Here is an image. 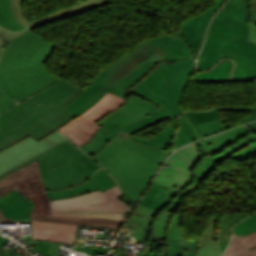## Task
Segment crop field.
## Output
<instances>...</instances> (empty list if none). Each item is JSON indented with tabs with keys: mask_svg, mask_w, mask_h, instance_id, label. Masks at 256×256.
Masks as SVG:
<instances>
[{
	"mask_svg": "<svg viewBox=\"0 0 256 256\" xmlns=\"http://www.w3.org/2000/svg\"><path fill=\"white\" fill-rule=\"evenodd\" d=\"M193 58L181 32L142 40L131 52L99 72L91 84L64 108L77 117L109 91L124 99L136 82L161 60L171 62Z\"/></svg>",
	"mask_w": 256,
	"mask_h": 256,
	"instance_id": "obj_1",
	"label": "crop field"
},
{
	"mask_svg": "<svg viewBox=\"0 0 256 256\" xmlns=\"http://www.w3.org/2000/svg\"><path fill=\"white\" fill-rule=\"evenodd\" d=\"M56 47L32 30L9 43L0 62V114L59 79L45 65Z\"/></svg>",
	"mask_w": 256,
	"mask_h": 256,
	"instance_id": "obj_2",
	"label": "crop field"
},
{
	"mask_svg": "<svg viewBox=\"0 0 256 256\" xmlns=\"http://www.w3.org/2000/svg\"><path fill=\"white\" fill-rule=\"evenodd\" d=\"M82 90L61 79L1 114L0 131L14 143L29 135L40 140L76 117L63 107Z\"/></svg>",
	"mask_w": 256,
	"mask_h": 256,
	"instance_id": "obj_3",
	"label": "crop field"
},
{
	"mask_svg": "<svg viewBox=\"0 0 256 256\" xmlns=\"http://www.w3.org/2000/svg\"><path fill=\"white\" fill-rule=\"evenodd\" d=\"M170 152L171 148L163 151L117 136L113 143L108 142L91 157L103 165L118 182L123 193L137 203Z\"/></svg>",
	"mask_w": 256,
	"mask_h": 256,
	"instance_id": "obj_4",
	"label": "crop field"
},
{
	"mask_svg": "<svg viewBox=\"0 0 256 256\" xmlns=\"http://www.w3.org/2000/svg\"><path fill=\"white\" fill-rule=\"evenodd\" d=\"M194 64V59L162 61L130 88L129 91L160 107L143 120L124 127L123 131L133 134L166 118L172 121L178 117L184 111L179 103Z\"/></svg>",
	"mask_w": 256,
	"mask_h": 256,
	"instance_id": "obj_5",
	"label": "crop field"
},
{
	"mask_svg": "<svg viewBox=\"0 0 256 256\" xmlns=\"http://www.w3.org/2000/svg\"><path fill=\"white\" fill-rule=\"evenodd\" d=\"M249 9V0H229L224 5L210 25L198 69H211L230 52L252 59L256 69V44L249 41Z\"/></svg>",
	"mask_w": 256,
	"mask_h": 256,
	"instance_id": "obj_6",
	"label": "crop field"
},
{
	"mask_svg": "<svg viewBox=\"0 0 256 256\" xmlns=\"http://www.w3.org/2000/svg\"><path fill=\"white\" fill-rule=\"evenodd\" d=\"M16 189L34 202L31 220L119 230L122 222L95 217L53 216L37 160L0 179V197Z\"/></svg>",
	"mask_w": 256,
	"mask_h": 256,
	"instance_id": "obj_7",
	"label": "crop field"
},
{
	"mask_svg": "<svg viewBox=\"0 0 256 256\" xmlns=\"http://www.w3.org/2000/svg\"><path fill=\"white\" fill-rule=\"evenodd\" d=\"M118 186L105 192L95 191L75 198L50 201L54 215L96 216L123 221L132 207L120 200Z\"/></svg>",
	"mask_w": 256,
	"mask_h": 256,
	"instance_id": "obj_8",
	"label": "crop field"
},
{
	"mask_svg": "<svg viewBox=\"0 0 256 256\" xmlns=\"http://www.w3.org/2000/svg\"><path fill=\"white\" fill-rule=\"evenodd\" d=\"M158 107L132 93L127 102L97 122L102 127L81 149L90 156L97 153L108 141L113 142L124 126L148 116Z\"/></svg>",
	"mask_w": 256,
	"mask_h": 256,
	"instance_id": "obj_9",
	"label": "crop field"
},
{
	"mask_svg": "<svg viewBox=\"0 0 256 256\" xmlns=\"http://www.w3.org/2000/svg\"><path fill=\"white\" fill-rule=\"evenodd\" d=\"M203 159L196 143L178 150L167 161L170 168L163 166L154 183L181 192L194 183L193 169Z\"/></svg>",
	"mask_w": 256,
	"mask_h": 256,
	"instance_id": "obj_10",
	"label": "crop field"
},
{
	"mask_svg": "<svg viewBox=\"0 0 256 256\" xmlns=\"http://www.w3.org/2000/svg\"><path fill=\"white\" fill-rule=\"evenodd\" d=\"M125 101L126 100L107 92L93 107L74 121L59 129V131L80 147L88 143L99 130L100 126L95 123Z\"/></svg>",
	"mask_w": 256,
	"mask_h": 256,
	"instance_id": "obj_11",
	"label": "crop field"
},
{
	"mask_svg": "<svg viewBox=\"0 0 256 256\" xmlns=\"http://www.w3.org/2000/svg\"><path fill=\"white\" fill-rule=\"evenodd\" d=\"M69 155L73 160L42 173L46 189L78 182L100 167L79 149Z\"/></svg>",
	"mask_w": 256,
	"mask_h": 256,
	"instance_id": "obj_12",
	"label": "crop field"
},
{
	"mask_svg": "<svg viewBox=\"0 0 256 256\" xmlns=\"http://www.w3.org/2000/svg\"><path fill=\"white\" fill-rule=\"evenodd\" d=\"M66 139L56 131L40 141L30 136L0 151V174L20 165Z\"/></svg>",
	"mask_w": 256,
	"mask_h": 256,
	"instance_id": "obj_13",
	"label": "crop field"
},
{
	"mask_svg": "<svg viewBox=\"0 0 256 256\" xmlns=\"http://www.w3.org/2000/svg\"><path fill=\"white\" fill-rule=\"evenodd\" d=\"M110 0H85L78 5L71 7L69 9H63L56 11L55 13L46 16L45 18H40L34 21L28 22L24 17L22 13V7H21V0H11V8L17 18V20L25 27L21 30H18L17 32L8 30L2 26H0V36L6 41L9 42L11 39L13 40L17 36L21 35L22 33L34 29L35 27H38L39 25H44L46 23H50L54 20H60L66 17H69L71 15H77L78 13L87 12L94 8H98L100 6H103L107 3H110ZM87 8V10H85ZM52 19V20H50Z\"/></svg>",
	"mask_w": 256,
	"mask_h": 256,
	"instance_id": "obj_14",
	"label": "crop field"
},
{
	"mask_svg": "<svg viewBox=\"0 0 256 256\" xmlns=\"http://www.w3.org/2000/svg\"><path fill=\"white\" fill-rule=\"evenodd\" d=\"M13 144L0 132V150ZM34 203L22 196L15 189L0 198V222H20L19 219H29Z\"/></svg>",
	"mask_w": 256,
	"mask_h": 256,
	"instance_id": "obj_15",
	"label": "crop field"
},
{
	"mask_svg": "<svg viewBox=\"0 0 256 256\" xmlns=\"http://www.w3.org/2000/svg\"><path fill=\"white\" fill-rule=\"evenodd\" d=\"M225 1L226 0H216L215 4L204 13L181 24L182 33L187 43L189 44L195 59L197 57L198 50L200 48L210 19L214 13L225 3Z\"/></svg>",
	"mask_w": 256,
	"mask_h": 256,
	"instance_id": "obj_16",
	"label": "crop field"
},
{
	"mask_svg": "<svg viewBox=\"0 0 256 256\" xmlns=\"http://www.w3.org/2000/svg\"><path fill=\"white\" fill-rule=\"evenodd\" d=\"M229 127L228 123H223L221 119L207 124L192 127L185 115L179 117V126L175 138L174 150L192 140L206 137L214 132ZM193 142V141H192Z\"/></svg>",
	"mask_w": 256,
	"mask_h": 256,
	"instance_id": "obj_17",
	"label": "crop field"
},
{
	"mask_svg": "<svg viewBox=\"0 0 256 256\" xmlns=\"http://www.w3.org/2000/svg\"><path fill=\"white\" fill-rule=\"evenodd\" d=\"M77 226L31 221L32 237L61 243H73Z\"/></svg>",
	"mask_w": 256,
	"mask_h": 256,
	"instance_id": "obj_18",
	"label": "crop field"
},
{
	"mask_svg": "<svg viewBox=\"0 0 256 256\" xmlns=\"http://www.w3.org/2000/svg\"><path fill=\"white\" fill-rule=\"evenodd\" d=\"M116 183L109 176V174L103 169L100 173H98L93 178L88 181L69 189L59 190L47 192L50 200L53 199H63L75 197L81 194H85L87 192L95 191L97 189L102 192L107 190L108 188L114 186Z\"/></svg>",
	"mask_w": 256,
	"mask_h": 256,
	"instance_id": "obj_19",
	"label": "crop field"
},
{
	"mask_svg": "<svg viewBox=\"0 0 256 256\" xmlns=\"http://www.w3.org/2000/svg\"><path fill=\"white\" fill-rule=\"evenodd\" d=\"M157 211L150 209L148 207H145L141 204L137 207V209L134 211V213H137L143 217L149 218L152 220V215L156 213ZM133 213V214H134ZM130 217V220L138 221L140 223V226L138 227L136 232L130 231L134 237H136L137 241L142 239V235L140 234L143 231H147L148 227L150 226L151 222L147 219L141 218L139 216L133 215ZM172 214L161 212L159 215V219L156 221L153 232L155 235H158L163 238V240H166V234H167V227L169 224V221L171 219Z\"/></svg>",
	"mask_w": 256,
	"mask_h": 256,
	"instance_id": "obj_20",
	"label": "crop field"
},
{
	"mask_svg": "<svg viewBox=\"0 0 256 256\" xmlns=\"http://www.w3.org/2000/svg\"><path fill=\"white\" fill-rule=\"evenodd\" d=\"M246 125L227 131L203 141L196 142L204 156L220 153L227 146H230L249 133Z\"/></svg>",
	"mask_w": 256,
	"mask_h": 256,
	"instance_id": "obj_21",
	"label": "crop field"
},
{
	"mask_svg": "<svg viewBox=\"0 0 256 256\" xmlns=\"http://www.w3.org/2000/svg\"><path fill=\"white\" fill-rule=\"evenodd\" d=\"M75 149H77V147H75L73 144H71L67 140V141L61 143L60 145H57L54 148H51L50 150L43 153L42 155L36 156L35 158L29 160L28 162L21 164L17 168L12 169V170L0 175V178L7 175L10 172H13V171L19 169L20 167H22L30 162H33L35 159L38 160L39 165H40V170H41V172H43L47 169H50L54 166H57L59 164H62L66 161L71 160V158L69 157V155L67 153L72 150H75Z\"/></svg>",
	"mask_w": 256,
	"mask_h": 256,
	"instance_id": "obj_22",
	"label": "crop field"
},
{
	"mask_svg": "<svg viewBox=\"0 0 256 256\" xmlns=\"http://www.w3.org/2000/svg\"><path fill=\"white\" fill-rule=\"evenodd\" d=\"M224 215L211 217L210 223L198 241L197 256H221L219 250V237Z\"/></svg>",
	"mask_w": 256,
	"mask_h": 256,
	"instance_id": "obj_23",
	"label": "crop field"
},
{
	"mask_svg": "<svg viewBox=\"0 0 256 256\" xmlns=\"http://www.w3.org/2000/svg\"><path fill=\"white\" fill-rule=\"evenodd\" d=\"M228 58H231L235 62L231 82L256 80V71L251 60L232 53H230Z\"/></svg>",
	"mask_w": 256,
	"mask_h": 256,
	"instance_id": "obj_24",
	"label": "crop field"
},
{
	"mask_svg": "<svg viewBox=\"0 0 256 256\" xmlns=\"http://www.w3.org/2000/svg\"><path fill=\"white\" fill-rule=\"evenodd\" d=\"M233 62L224 60L208 72L195 75L196 82H228Z\"/></svg>",
	"mask_w": 256,
	"mask_h": 256,
	"instance_id": "obj_25",
	"label": "crop field"
},
{
	"mask_svg": "<svg viewBox=\"0 0 256 256\" xmlns=\"http://www.w3.org/2000/svg\"><path fill=\"white\" fill-rule=\"evenodd\" d=\"M253 109L254 106L215 107L209 112H185L184 114L192 126H195L221 118V114L218 110L253 111Z\"/></svg>",
	"mask_w": 256,
	"mask_h": 256,
	"instance_id": "obj_26",
	"label": "crop field"
},
{
	"mask_svg": "<svg viewBox=\"0 0 256 256\" xmlns=\"http://www.w3.org/2000/svg\"><path fill=\"white\" fill-rule=\"evenodd\" d=\"M197 240L167 241V256H196Z\"/></svg>",
	"mask_w": 256,
	"mask_h": 256,
	"instance_id": "obj_27",
	"label": "crop field"
},
{
	"mask_svg": "<svg viewBox=\"0 0 256 256\" xmlns=\"http://www.w3.org/2000/svg\"><path fill=\"white\" fill-rule=\"evenodd\" d=\"M226 157L227 156L222 153L205 157L194 170L195 183L193 184L192 189Z\"/></svg>",
	"mask_w": 256,
	"mask_h": 256,
	"instance_id": "obj_28",
	"label": "crop field"
},
{
	"mask_svg": "<svg viewBox=\"0 0 256 256\" xmlns=\"http://www.w3.org/2000/svg\"><path fill=\"white\" fill-rule=\"evenodd\" d=\"M251 214H253V213L225 215L223 227H222L221 238H220V250L221 251H225V249L228 245V242H229V239L231 236V231L233 229V225Z\"/></svg>",
	"mask_w": 256,
	"mask_h": 256,
	"instance_id": "obj_29",
	"label": "crop field"
},
{
	"mask_svg": "<svg viewBox=\"0 0 256 256\" xmlns=\"http://www.w3.org/2000/svg\"><path fill=\"white\" fill-rule=\"evenodd\" d=\"M9 1L10 0H0V25L13 30L23 28V26L14 17Z\"/></svg>",
	"mask_w": 256,
	"mask_h": 256,
	"instance_id": "obj_30",
	"label": "crop field"
},
{
	"mask_svg": "<svg viewBox=\"0 0 256 256\" xmlns=\"http://www.w3.org/2000/svg\"><path fill=\"white\" fill-rule=\"evenodd\" d=\"M177 194L178 192L160 187L152 183L145 196L169 205V203Z\"/></svg>",
	"mask_w": 256,
	"mask_h": 256,
	"instance_id": "obj_31",
	"label": "crop field"
},
{
	"mask_svg": "<svg viewBox=\"0 0 256 256\" xmlns=\"http://www.w3.org/2000/svg\"><path fill=\"white\" fill-rule=\"evenodd\" d=\"M223 256H256V249L249 251L236 238L232 237L230 246Z\"/></svg>",
	"mask_w": 256,
	"mask_h": 256,
	"instance_id": "obj_32",
	"label": "crop field"
},
{
	"mask_svg": "<svg viewBox=\"0 0 256 256\" xmlns=\"http://www.w3.org/2000/svg\"><path fill=\"white\" fill-rule=\"evenodd\" d=\"M256 231V214L236 225L233 234L241 238Z\"/></svg>",
	"mask_w": 256,
	"mask_h": 256,
	"instance_id": "obj_33",
	"label": "crop field"
},
{
	"mask_svg": "<svg viewBox=\"0 0 256 256\" xmlns=\"http://www.w3.org/2000/svg\"><path fill=\"white\" fill-rule=\"evenodd\" d=\"M176 119L166 130L158 133L157 135L149 138L148 140L159 142V143H162V144H165V145H168L171 147L172 146V138L176 131Z\"/></svg>",
	"mask_w": 256,
	"mask_h": 256,
	"instance_id": "obj_34",
	"label": "crop field"
},
{
	"mask_svg": "<svg viewBox=\"0 0 256 256\" xmlns=\"http://www.w3.org/2000/svg\"><path fill=\"white\" fill-rule=\"evenodd\" d=\"M181 216L173 214L171 222L168 227L167 240L185 239L179 224Z\"/></svg>",
	"mask_w": 256,
	"mask_h": 256,
	"instance_id": "obj_35",
	"label": "crop field"
},
{
	"mask_svg": "<svg viewBox=\"0 0 256 256\" xmlns=\"http://www.w3.org/2000/svg\"><path fill=\"white\" fill-rule=\"evenodd\" d=\"M21 237L23 236L21 235ZM23 239L29 240V239H32V237L31 236L23 237ZM59 245H65V244L39 240L38 244L35 246L33 250L45 255L50 246L58 247Z\"/></svg>",
	"mask_w": 256,
	"mask_h": 256,
	"instance_id": "obj_36",
	"label": "crop field"
},
{
	"mask_svg": "<svg viewBox=\"0 0 256 256\" xmlns=\"http://www.w3.org/2000/svg\"><path fill=\"white\" fill-rule=\"evenodd\" d=\"M256 151V142L247 146L246 148L234 153L232 156H229L230 158L236 159L238 161H241L245 157L249 156L253 152Z\"/></svg>",
	"mask_w": 256,
	"mask_h": 256,
	"instance_id": "obj_37",
	"label": "crop field"
},
{
	"mask_svg": "<svg viewBox=\"0 0 256 256\" xmlns=\"http://www.w3.org/2000/svg\"><path fill=\"white\" fill-rule=\"evenodd\" d=\"M119 136H122V137H125V138H128V139H131V140H134V141L143 143V144H147V145H150V146L159 148V149L167 150L168 148H170V147L165 146V145H162V144H158V143H155V142H152V141H147V140L142 139V138H138V137H134V136L128 135V134H126V133H124V132H121V133L119 134Z\"/></svg>",
	"mask_w": 256,
	"mask_h": 256,
	"instance_id": "obj_38",
	"label": "crop field"
},
{
	"mask_svg": "<svg viewBox=\"0 0 256 256\" xmlns=\"http://www.w3.org/2000/svg\"><path fill=\"white\" fill-rule=\"evenodd\" d=\"M236 237L235 235H233ZM237 238V237H236ZM242 244H244L249 250L256 248V232L253 234H250L246 237H243L241 239L237 238Z\"/></svg>",
	"mask_w": 256,
	"mask_h": 256,
	"instance_id": "obj_39",
	"label": "crop field"
},
{
	"mask_svg": "<svg viewBox=\"0 0 256 256\" xmlns=\"http://www.w3.org/2000/svg\"><path fill=\"white\" fill-rule=\"evenodd\" d=\"M190 191V189H185L183 192L179 193L176 198L170 203V205L165 210L166 212L173 213L175 208L178 206V204L181 202L183 197Z\"/></svg>",
	"mask_w": 256,
	"mask_h": 256,
	"instance_id": "obj_40",
	"label": "crop field"
},
{
	"mask_svg": "<svg viewBox=\"0 0 256 256\" xmlns=\"http://www.w3.org/2000/svg\"><path fill=\"white\" fill-rule=\"evenodd\" d=\"M141 204L148 206L150 208H153L157 211H161V210H165V208L167 207V205H164L162 203L156 202L154 200L148 199L146 197H144V199L141 201Z\"/></svg>",
	"mask_w": 256,
	"mask_h": 256,
	"instance_id": "obj_41",
	"label": "crop field"
},
{
	"mask_svg": "<svg viewBox=\"0 0 256 256\" xmlns=\"http://www.w3.org/2000/svg\"><path fill=\"white\" fill-rule=\"evenodd\" d=\"M109 248H97V247H79L75 246L74 250L89 253L94 255L95 252L107 254Z\"/></svg>",
	"mask_w": 256,
	"mask_h": 256,
	"instance_id": "obj_42",
	"label": "crop field"
},
{
	"mask_svg": "<svg viewBox=\"0 0 256 256\" xmlns=\"http://www.w3.org/2000/svg\"><path fill=\"white\" fill-rule=\"evenodd\" d=\"M251 9H250V17L249 22H256V0H250Z\"/></svg>",
	"mask_w": 256,
	"mask_h": 256,
	"instance_id": "obj_43",
	"label": "crop field"
},
{
	"mask_svg": "<svg viewBox=\"0 0 256 256\" xmlns=\"http://www.w3.org/2000/svg\"><path fill=\"white\" fill-rule=\"evenodd\" d=\"M250 40L256 42V23H249Z\"/></svg>",
	"mask_w": 256,
	"mask_h": 256,
	"instance_id": "obj_44",
	"label": "crop field"
},
{
	"mask_svg": "<svg viewBox=\"0 0 256 256\" xmlns=\"http://www.w3.org/2000/svg\"><path fill=\"white\" fill-rule=\"evenodd\" d=\"M102 169H103V168H101V167H100V168H99V169H97L95 172H93L91 175H89V176H88V177H86L84 180H82V181H80V182H78V183H75V184L70 185V186L62 187V188L49 189V190H47V191H51V190H59V189H64V188H68V187L75 186V185L80 184V183H82V182H84V181L88 180L89 178L93 177L95 174H97L98 172H100Z\"/></svg>",
	"mask_w": 256,
	"mask_h": 256,
	"instance_id": "obj_45",
	"label": "crop field"
},
{
	"mask_svg": "<svg viewBox=\"0 0 256 256\" xmlns=\"http://www.w3.org/2000/svg\"><path fill=\"white\" fill-rule=\"evenodd\" d=\"M255 83H256V81H255ZM253 119H256V108L254 110V113L251 116H249L247 119H245L244 122H247V121H250Z\"/></svg>",
	"mask_w": 256,
	"mask_h": 256,
	"instance_id": "obj_46",
	"label": "crop field"
},
{
	"mask_svg": "<svg viewBox=\"0 0 256 256\" xmlns=\"http://www.w3.org/2000/svg\"><path fill=\"white\" fill-rule=\"evenodd\" d=\"M248 126L254 133H256V121L248 124Z\"/></svg>",
	"mask_w": 256,
	"mask_h": 256,
	"instance_id": "obj_47",
	"label": "crop field"
},
{
	"mask_svg": "<svg viewBox=\"0 0 256 256\" xmlns=\"http://www.w3.org/2000/svg\"><path fill=\"white\" fill-rule=\"evenodd\" d=\"M137 215V214H136ZM158 219V216L157 215H155V216H153V221H151L152 222V224H151V226H150V233L151 234H153V232H152V228H153V225H154V222L156 221Z\"/></svg>",
	"mask_w": 256,
	"mask_h": 256,
	"instance_id": "obj_48",
	"label": "crop field"
},
{
	"mask_svg": "<svg viewBox=\"0 0 256 256\" xmlns=\"http://www.w3.org/2000/svg\"><path fill=\"white\" fill-rule=\"evenodd\" d=\"M5 241H6V239L3 238L2 236H0V249H1V247H2L3 245H5ZM0 256H2V255H0Z\"/></svg>",
	"mask_w": 256,
	"mask_h": 256,
	"instance_id": "obj_49",
	"label": "crop field"
},
{
	"mask_svg": "<svg viewBox=\"0 0 256 256\" xmlns=\"http://www.w3.org/2000/svg\"><path fill=\"white\" fill-rule=\"evenodd\" d=\"M5 41L2 39V38H0V46H3V45H5Z\"/></svg>",
	"mask_w": 256,
	"mask_h": 256,
	"instance_id": "obj_50",
	"label": "crop field"
},
{
	"mask_svg": "<svg viewBox=\"0 0 256 256\" xmlns=\"http://www.w3.org/2000/svg\"><path fill=\"white\" fill-rule=\"evenodd\" d=\"M4 50H5L4 48H1V47H0V59H1V57H2V54H3Z\"/></svg>",
	"mask_w": 256,
	"mask_h": 256,
	"instance_id": "obj_51",
	"label": "crop field"
},
{
	"mask_svg": "<svg viewBox=\"0 0 256 256\" xmlns=\"http://www.w3.org/2000/svg\"><path fill=\"white\" fill-rule=\"evenodd\" d=\"M0 254H2V255H4V256H11V255H9V254H7V253L1 251V250H0Z\"/></svg>",
	"mask_w": 256,
	"mask_h": 256,
	"instance_id": "obj_52",
	"label": "crop field"
},
{
	"mask_svg": "<svg viewBox=\"0 0 256 256\" xmlns=\"http://www.w3.org/2000/svg\"><path fill=\"white\" fill-rule=\"evenodd\" d=\"M156 214H159V212H158V213H156Z\"/></svg>",
	"mask_w": 256,
	"mask_h": 256,
	"instance_id": "obj_53",
	"label": "crop field"
}]
</instances>
